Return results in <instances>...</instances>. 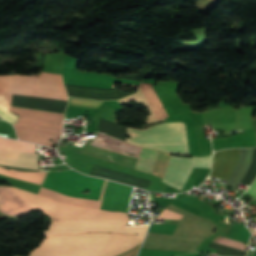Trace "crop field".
Listing matches in <instances>:
<instances>
[{
  "instance_id": "obj_1",
  "label": "crop field",
  "mask_w": 256,
  "mask_h": 256,
  "mask_svg": "<svg viewBox=\"0 0 256 256\" xmlns=\"http://www.w3.org/2000/svg\"><path fill=\"white\" fill-rule=\"evenodd\" d=\"M33 208L46 212L52 223L44 232L46 239L29 254L30 256H115L141 243L147 229V226L124 227L126 213L65 205L22 189L0 186L1 213L17 216ZM94 231L133 232L139 235H51Z\"/></svg>"
},
{
  "instance_id": "obj_2",
  "label": "crop field",
  "mask_w": 256,
  "mask_h": 256,
  "mask_svg": "<svg viewBox=\"0 0 256 256\" xmlns=\"http://www.w3.org/2000/svg\"><path fill=\"white\" fill-rule=\"evenodd\" d=\"M106 180L87 177L73 170L49 172L40 195L64 203L99 209ZM90 191L89 194L82 192Z\"/></svg>"
},
{
  "instance_id": "obj_3",
  "label": "crop field",
  "mask_w": 256,
  "mask_h": 256,
  "mask_svg": "<svg viewBox=\"0 0 256 256\" xmlns=\"http://www.w3.org/2000/svg\"><path fill=\"white\" fill-rule=\"evenodd\" d=\"M167 208L184 215L172 235L147 232L141 247L194 251L214 230L215 225L209 220L172 204Z\"/></svg>"
},
{
  "instance_id": "obj_4",
  "label": "crop field",
  "mask_w": 256,
  "mask_h": 256,
  "mask_svg": "<svg viewBox=\"0 0 256 256\" xmlns=\"http://www.w3.org/2000/svg\"><path fill=\"white\" fill-rule=\"evenodd\" d=\"M11 111L20 115L14 124L20 140L52 147L61 135L62 114L14 107Z\"/></svg>"
},
{
  "instance_id": "obj_5",
  "label": "crop field",
  "mask_w": 256,
  "mask_h": 256,
  "mask_svg": "<svg viewBox=\"0 0 256 256\" xmlns=\"http://www.w3.org/2000/svg\"><path fill=\"white\" fill-rule=\"evenodd\" d=\"M0 93L67 101L61 76L45 73L41 78L0 76Z\"/></svg>"
},
{
  "instance_id": "obj_6",
  "label": "crop field",
  "mask_w": 256,
  "mask_h": 256,
  "mask_svg": "<svg viewBox=\"0 0 256 256\" xmlns=\"http://www.w3.org/2000/svg\"><path fill=\"white\" fill-rule=\"evenodd\" d=\"M35 144L0 138V148L34 153ZM0 149V164L38 170V154Z\"/></svg>"
},
{
  "instance_id": "obj_7",
  "label": "crop field",
  "mask_w": 256,
  "mask_h": 256,
  "mask_svg": "<svg viewBox=\"0 0 256 256\" xmlns=\"http://www.w3.org/2000/svg\"><path fill=\"white\" fill-rule=\"evenodd\" d=\"M211 155L202 158L170 156L163 182L181 191L194 167L210 168Z\"/></svg>"
},
{
  "instance_id": "obj_8",
  "label": "crop field",
  "mask_w": 256,
  "mask_h": 256,
  "mask_svg": "<svg viewBox=\"0 0 256 256\" xmlns=\"http://www.w3.org/2000/svg\"><path fill=\"white\" fill-rule=\"evenodd\" d=\"M131 100L140 101L148 108L151 115L148 116L149 119L147 121H144L146 123H151L167 117V114L151 84L142 83L137 94H133L118 101L123 104Z\"/></svg>"
},
{
  "instance_id": "obj_9",
  "label": "crop field",
  "mask_w": 256,
  "mask_h": 256,
  "mask_svg": "<svg viewBox=\"0 0 256 256\" xmlns=\"http://www.w3.org/2000/svg\"><path fill=\"white\" fill-rule=\"evenodd\" d=\"M89 145H93L96 147L104 148L107 150H111L114 152H118L121 154L129 155L132 157L138 156V153L140 151L139 146L131 145V144H126L120 140L111 138L109 136H106L102 133H99L97 138L94 139Z\"/></svg>"
},
{
  "instance_id": "obj_10",
  "label": "crop field",
  "mask_w": 256,
  "mask_h": 256,
  "mask_svg": "<svg viewBox=\"0 0 256 256\" xmlns=\"http://www.w3.org/2000/svg\"><path fill=\"white\" fill-rule=\"evenodd\" d=\"M159 152L142 147L134 168L151 174Z\"/></svg>"
},
{
  "instance_id": "obj_11",
  "label": "crop field",
  "mask_w": 256,
  "mask_h": 256,
  "mask_svg": "<svg viewBox=\"0 0 256 256\" xmlns=\"http://www.w3.org/2000/svg\"><path fill=\"white\" fill-rule=\"evenodd\" d=\"M102 103L103 102H101V101L70 98L69 106L80 107V108L97 109Z\"/></svg>"
},
{
  "instance_id": "obj_12",
  "label": "crop field",
  "mask_w": 256,
  "mask_h": 256,
  "mask_svg": "<svg viewBox=\"0 0 256 256\" xmlns=\"http://www.w3.org/2000/svg\"><path fill=\"white\" fill-rule=\"evenodd\" d=\"M169 156H170V154H168V153H164L162 151L160 152V155L158 157V160H157V163L155 165L154 171L152 173L153 175L163 177L164 172H165L166 167H167Z\"/></svg>"
},
{
  "instance_id": "obj_13",
  "label": "crop field",
  "mask_w": 256,
  "mask_h": 256,
  "mask_svg": "<svg viewBox=\"0 0 256 256\" xmlns=\"http://www.w3.org/2000/svg\"><path fill=\"white\" fill-rule=\"evenodd\" d=\"M149 147L159 148L169 153L189 155L187 145H160V146H149Z\"/></svg>"
},
{
  "instance_id": "obj_14",
  "label": "crop field",
  "mask_w": 256,
  "mask_h": 256,
  "mask_svg": "<svg viewBox=\"0 0 256 256\" xmlns=\"http://www.w3.org/2000/svg\"><path fill=\"white\" fill-rule=\"evenodd\" d=\"M213 241L218 242V243H222V244H225V245H228V246H231V247L243 250V251L246 248V245L242 244V242H238V241H235V240L223 238V237H220V236L214 238Z\"/></svg>"
},
{
  "instance_id": "obj_15",
  "label": "crop field",
  "mask_w": 256,
  "mask_h": 256,
  "mask_svg": "<svg viewBox=\"0 0 256 256\" xmlns=\"http://www.w3.org/2000/svg\"><path fill=\"white\" fill-rule=\"evenodd\" d=\"M181 217H182V215H180V214H177L175 212L164 209L162 211V213L158 217H156L155 219H158V218L180 219Z\"/></svg>"
},
{
  "instance_id": "obj_16",
  "label": "crop field",
  "mask_w": 256,
  "mask_h": 256,
  "mask_svg": "<svg viewBox=\"0 0 256 256\" xmlns=\"http://www.w3.org/2000/svg\"><path fill=\"white\" fill-rule=\"evenodd\" d=\"M254 196H256V179L255 181L252 183V185L248 188V190L246 191Z\"/></svg>"
},
{
  "instance_id": "obj_17",
  "label": "crop field",
  "mask_w": 256,
  "mask_h": 256,
  "mask_svg": "<svg viewBox=\"0 0 256 256\" xmlns=\"http://www.w3.org/2000/svg\"><path fill=\"white\" fill-rule=\"evenodd\" d=\"M254 234V236H256V232H252Z\"/></svg>"
},
{
  "instance_id": "obj_18",
  "label": "crop field",
  "mask_w": 256,
  "mask_h": 256,
  "mask_svg": "<svg viewBox=\"0 0 256 256\" xmlns=\"http://www.w3.org/2000/svg\"><path fill=\"white\" fill-rule=\"evenodd\" d=\"M27 1V0H26Z\"/></svg>"
}]
</instances>
